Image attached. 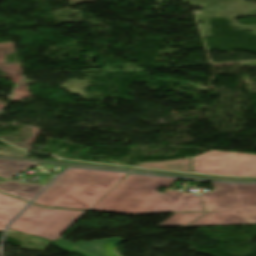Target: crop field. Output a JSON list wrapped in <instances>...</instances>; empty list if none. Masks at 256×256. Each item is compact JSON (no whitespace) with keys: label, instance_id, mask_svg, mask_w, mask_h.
Segmentation results:
<instances>
[{"label":"crop field","instance_id":"crop-field-2","mask_svg":"<svg viewBox=\"0 0 256 256\" xmlns=\"http://www.w3.org/2000/svg\"><path fill=\"white\" fill-rule=\"evenodd\" d=\"M126 175L72 169L61 175L34 204L89 210Z\"/></svg>","mask_w":256,"mask_h":256},{"label":"crop field","instance_id":"crop-field-3","mask_svg":"<svg viewBox=\"0 0 256 256\" xmlns=\"http://www.w3.org/2000/svg\"><path fill=\"white\" fill-rule=\"evenodd\" d=\"M201 194L207 211L190 226L256 224V185L217 184Z\"/></svg>","mask_w":256,"mask_h":256},{"label":"crop field","instance_id":"crop-field-4","mask_svg":"<svg viewBox=\"0 0 256 256\" xmlns=\"http://www.w3.org/2000/svg\"><path fill=\"white\" fill-rule=\"evenodd\" d=\"M86 212L49 209L31 204L9 228L54 241L60 238Z\"/></svg>","mask_w":256,"mask_h":256},{"label":"crop field","instance_id":"crop-field-9","mask_svg":"<svg viewBox=\"0 0 256 256\" xmlns=\"http://www.w3.org/2000/svg\"><path fill=\"white\" fill-rule=\"evenodd\" d=\"M138 166L145 168L190 172V158L176 161L140 163Z\"/></svg>","mask_w":256,"mask_h":256},{"label":"crop field","instance_id":"crop-field-8","mask_svg":"<svg viewBox=\"0 0 256 256\" xmlns=\"http://www.w3.org/2000/svg\"><path fill=\"white\" fill-rule=\"evenodd\" d=\"M35 164L37 163L0 159V176L8 178L27 170L28 167Z\"/></svg>","mask_w":256,"mask_h":256},{"label":"crop field","instance_id":"crop-field-1","mask_svg":"<svg viewBox=\"0 0 256 256\" xmlns=\"http://www.w3.org/2000/svg\"><path fill=\"white\" fill-rule=\"evenodd\" d=\"M175 180L128 174L90 210L135 215L204 212L201 199L193 194L186 195L176 191L163 194L156 191L160 186H169Z\"/></svg>","mask_w":256,"mask_h":256},{"label":"crop field","instance_id":"crop-field-7","mask_svg":"<svg viewBox=\"0 0 256 256\" xmlns=\"http://www.w3.org/2000/svg\"><path fill=\"white\" fill-rule=\"evenodd\" d=\"M44 186L35 184H22L20 182H5L0 184V191L25 201H32Z\"/></svg>","mask_w":256,"mask_h":256},{"label":"crop field","instance_id":"crop-field-5","mask_svg":"<svg viewBox=\"0 0 256 256\" xmlns=\"http://www.w3.org/2000/svg\"><path fill=\"white\" fill-rule=\"evenodd\" d=\"M193 172L228 176H256V155L210 151L192 158Z\"/></svg>","mask_w":256,"mask_h":256},{"label":"crop field","instance_id":"crop-field-10","mask_svg":"<svg viewBox=\"0 0 256 256\" xmlns=\"http://www.w3.org/2000/svg\"><path fill=\"white\" fill-rule=\"evenodd\" d=\"M200 213H179L174 214L164 222H162L157 227H170V226H187L197 217H199Z\"/></svg>","mask_w":256,"mask_h":256},{"label":"crop field","instance_id":"crop-field-11","mask_svg":"<svg viewBox=\"0 0 256 256\" xmlns=\"http://www.w3.org/2000/svg\"><path fill=\"white\" fill-rule=\"evenodd\" d=\"M54 178H55L54 176H50V177H47V178L41 177L38 181L41 182L40 184L47 185V184H48L50 181H52Z\"/></svg>","mask_w":256,"mask_h":256},{"label":"crop field","instance_id":"crop-field-6","mask_svg":"<svg viewBox=\"0 0 256 256\" xmlns=\"http://www.w3.org/2000/svg\"><path fill=\"white\" fill-rule=\"evenodd\" d=\"M28 204L23 200L0 193V230L4 231L7 224Z\"/></svg>","mask_w":256,"mask_h":256}]
</instances>
